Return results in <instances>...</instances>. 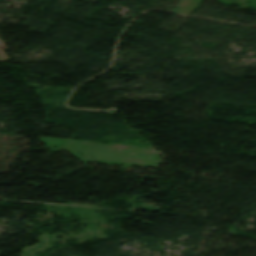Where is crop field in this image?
Masks as SVG:
<instances>
[{"label": "crop field", "instance_id": "crop-field-1", "mask_svg": "<svg viewBox=\"0 0 256 256\" xmlns=\"http://www.w3.org/2000/svg\"><path fill=\"white\" fill-rule=\"evenodd\" d=\"M1 43V42H0Z\"/></svg>", "mask_w": 256, "mask_h": 256}]
</instances>
